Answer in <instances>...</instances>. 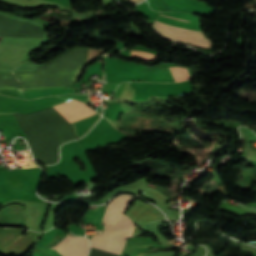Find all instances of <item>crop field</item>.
Here are the masks:
<instances>
[{"instance_id":"34b2d1b8","label":"crop field","mask_w":256,"mask_h":256,"mask_svg":"<svg viewBox=\"0 0 256 256\" xmlns=\"http://www.w3.org/2000/svg\"><path fill=\"white\" fill-rule=\"evenodd\" d=\"M0 37H41L33 27L0 16Z\"/></svg>"},{"instance_id":"dd49c442","label":"crop field","mask_w":256,"mask_h":256,"mask_svg":"<svg viewBox=\"0 0 256 256\" xmlns=\"http://www.w3.org/2000/svg\"><path fill=\"white\" fill-rule=\"evenodd\" d=\"M169 69H170L176 82L190 78L187 69L180 68V67H171Z\"/></svg>"},{"instance_id":"e52e79f7","label":"crop field","mask_w":256,"mask_h":256,"mask_svg":"<svg viewBox=\"0 0 256 256\" xmlns=\"http://www.w3.org/2000/svg\"><path fill=\"white\" fill-rule=\"evenodd\" d=\"M0 93L10 97L25 98L21 89H1Z\"/></svg>"},{"instance_id":"3316defc","label":"crop field","mask_w":256,"mask_h":256,"mask_svg":"<svg viewBox=\"0 0 256 256\" xmlns=\"http://www.w3.org/2000/svg\"><path fill=\"white\" fill-rule=\"evenodd\" d=\"M129 1H131V2H133V3H138V2H140V1H142V0H129Z\"/></svg>"},{"instance_id":"ac0d7876","label":"crop field","mask_w":256,"mask_h":256,"mask_svg":"<svg viewBox=\"0 0 256 256\" xmlns=\"http://www.w3.org/2000/svg\"><path fill=\"white\" fill-rule=\"evenodd\" d=\"M88 245L87 238L66 235L51 249L57 250L62 256H86Z\"/></svg>"},{"instance_id":"5a996713","label":"crop field","mask_w":256,"mask_h":256,"mask_svg":"<svg viewBox=\"0 0 256 256\" xmlns=\"http://www.w3.org/2000/svg\"><path fill=\"white\" fill-rule=\"evenodd\" d=\"M59 96L60 97H72V98H75L77 100H81L84 103H87V98H88V95H59Z\"/></svg>"},{"instance_id":"412701ff","label":"crop field","mask_w":256,"mask_h":256,"mask_svg":"<svg viewBox=\"0 0 256 256\" xmlns=\"http://www.w3.org/2000/svg\"><path fill=\"white\" fill-rule=\"evenodd\" d=\"M55 107L68 123H72L76 120L95 113L93 110H91L81 102L75 101L73 99L65 103L55 105Z\"/></svg>"},{"instance_id":"d8731c3e","label":"crop field","mask_w":256,"mask_h":256,"mask_svg":"<svg viewBox=\"0 0 256 256\" xmlns=\"http://www.w3.org/2000/svg\"><path fill=\"white\" fill-rule=\"evenodd\" d=\"M131 56L140 58L145 61H151L156 57V55H154V54L138 52V51H131Z\"/></svg>"},{"instance_id":"f4fd0767","label":"crop field","mask_w":256,"mask_h":256,"mask_svg":"<svg viewBox=\"0 0 256 256\" xmlns=\"http://www.w3.org/2000/svg\"><path fill=\"white\" fill-rule=\"evenodd\" d=\"M161 13H163V12H161ZM164 14H168V15H171V16H174V17L185 19V20H187V22L181 21V20H177L178 18L177 19H173L174 17L173 18H169L171 16L165 17V16H168V15L161 16L163 14L159 15L157 17L156 21L200 32L199 26H198V18L197 17H195L193 15H190L188 13H173V12H169V13H164Z\"/></svg>"},{"instance_id":"8a807250","label":"crop field","mask_w":256,"mask_h":256,"mask_svg":"<svg viewBox=\"0 0 256 256\" xmlns=\"http://www.w3.org/2000/svg\"><path fill=\"white\" fill-rule=\"evenodd\" d=\"M131 199L132 196L119 195L116 199L107 203L102 218L104 231L100 235L92 236V247L112 253H120L125 238L132 236L134 228L131 220L122 214Z\"/></svg>"}]
</instances>
